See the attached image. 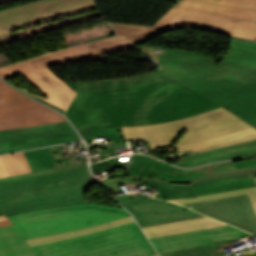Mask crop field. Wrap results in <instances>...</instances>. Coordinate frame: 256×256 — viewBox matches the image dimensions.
Instances as JSON below:
<instances>
[{
    "instance_id": "crop-field-42",
    "label": "crop field",
    "mask_w": 256,
    "mask_h": 256,
    "mask_svg": "<svg viewBox=\"0 0 256 256\" xmlns=\"http://www.w3.org/2000/svg\"><path fill=\"white\" fill-rule=\"evenodd\" d=\"M79 144H80V143H73V144H71L72 147H73V149H74V151H75V149H78V151L80 150V149H79ZM75 154H76V156H77L79 162L85 161V160H82L81 156H78V155H77L76 151H75Z\"/></svg>"
},
{
    "instance_id": "crop-field-13",
    "label": "crop field",
    "mask_w": 256,
    "mask_h": 256,
    "mask_svg": "<svg viewBox=\"0 0 256 256\" xmlns=\"http://www.w3.org/2000/svg\"><path fill=\"white\" fill-rule=\"evenodd\" d=\"M251 235L230 225L186 232L177 235L151 238L150 241L159 252H167L201 245L211 244L234 237Z\"/></svg>"
},
{
    "instance_id": "crop-field-36",
    "label": "crop field",
    "mask_w": 256,
    "mask_h": 256,
    "mask_svg": "<svg viewBox=\"0 0 256 256\" xmlns=\"http://www.w3.org/2000/svg\"><path fill=\"white\" fill-rule=\"evenodd\" d=\"M155 171L159 172H168V173H177L178 168L171 166L169 164L163 163V162H156L152 168Z\"/></svg>"
},
{
    "instance_id": "crop-field-18",
    "label": "crop field",
    "mask_w": 256,
    "mask_h": 256,
    "mask_svg": "<svg viewBox=\"0 0 256 256\" xmlns=\"http://www.w3.org/2000/svg\"><path fill=\"white\" fill-rule=\"evenodd\" d=\"M226 225L210 219L208 217H196L191 219H185L180 221L168 222L163 224L151 225L143 227L145 233L148 238L162 236V235H170L177 234L186 231L221 226Z\"/></svg>"
},
{
    "instance_id": "crop-field-6",
    "label": "crop field",
    "mask_w": 256,
    "mask_h": 256,
    "mask_svg": "<svg viewBox=\"0 0 256 256\" xmlns=\"http://www.w3.org/2000/svg\"><path fill=\"white\" fill-rule=\"evenodd\" d=\"M33 248L39 256H149L156 253L136 222Z\"/></svg>"
},
{
    "instance_id": "crop-field-39",
    "label": "crop field",
    "mask_w": 256,
    "mask_h": 256,
    "mask_svg": "<svg viewBox=\"0 0 256 256\" xmlns=\"http://www.w3.org/2000/svg\"><path fill=\"white\" fill-rule=\"evenodd\" d=\"M9 176L1 158H0V178Z\"/></svg>"
},
{
    "instance_id": "crop-field-19",
    "label": "crop field",
    "mask_w": 256,
    "mask_h": 256,
    "mask_svg": "<svg viewBox=\"0 0 256 256\" xmlns=\"http://www.w3.org/2000/svg\"><path fill=\"white\" fill-rule=\"evenodd\" d=\"M189 183L248 173L256 175V168L237 170L233 161L218 162L195 169H183Z\"/></svg>"
},
{
    "instance_id": "crop-field-45",
    "label": "crop field",
    "mask_w": 256,
    "mask_h": 256,
    "mask_svg": "<svg viewBox=\"0 0 256 256\" xmlns=\"http://www.w3.org/2000/svg\"><path fill=\"white\" fill-rule=\"evenodd\" d=\"M83 148H85V146L82 144V146H81V150H83Z\"/></svg>"
},
{
    "instance_id": "crop-field-27",
    "label": "crop field",
    "mask_w": 256,
    "mask_h": 256,
    "mask_svg": "<svg viewBox=\"0 0 256 256\" xmlns=\"http://www.w3.org/2000/svg\"><path fill=\"white\" fill-rule=\"evenodd\" d=\"M1 158L10 176L31 171L22 152L2 155Z\"/></svg>"
},
{
    "instance_id": "crop-field-7",
    "label": "crop field",
    "mask_w": 256,
    "mask_h": 256,
    "mask_svg": "<svg viewBox=\"0 0 256 256\" xmlns=\"http://www.w3.org/2000/svg\"><path fill=\"white\" fill-rule=\"evenodd\" d=\"M129 215L121 208L81 204L18 214L8 219L24 239H28L77 230Z\"/></svg>"
},
{
    "instance_id": "crop-field-8",
    "label": "crop field",
    "mask_w": 256,
    "mask_h": 256,
    "mask_svg": "<svg viewBox=\"0 0 256 256\" xmlns=\"http://www.w3.org/2000/svg\"><path fill=\"white\" fill-rule=\"evenodd\" d=\"M96 8L93 0H39L0 11V37L12 30Z\"/></svg>"
},
{
    "instance_id": "crop-field-38",
    "label": "crop field",
    "mask_w": 256,
    "mask_h": 256,
    "mask_svg": "<svg viewBox=\"0 0 256 256\" xmlns=\"http://www.w3.org/2000/svg\"><path fill=\"white\" fill-rule=\"evenodd\" d=\"M235 165H236L237 169L256 167V159L235 162Z\"/></svg>"
},
{
    "instance_id": "crop-field-5",
    "label": "crop field",
    "mask_w": 256,
    "mask_h": 256,
    "mask_svg": "<svg viewBox=\"0 0 256 256\" xmlns=\"http://www.w3.org/2000/svg\"><path fill=\"white\" fill-rule=\"evenodd\" d=\"M255 20V10L181 0L172 6L153 27L110 24L118 32V38L136 43L145 42L159 33L177 28H194L256 40Z\"/></svg>"
},
{
    "instance_id": "crop-field-12",
    "label": "crop field",
    "mask_w": 256,
    "mask_h": 256,
    "mask_svg": "<svg viewBox=\"0 0 256 256\" xmlns=\"http://www.w3.org/2000/svg\"><path fill=\"white\" fill-rule=\"evenodd\" d=\"M184 206L256 234V217L247 195L184 204Z\"/></svg>"
},
{
    "instance_id": "crop-field-20",
    "label": "crop field",
    "mask_w": 256,
    "mask_h": 256,
    "mask_svg": "<svg viewBox=\"0 0 256 256\" xmlns=\"http://www.w3.org/2000/svg\"><path fill=\"white\" fill-rule=\"evenodd\" d=\"M195 195H204L222 191H229L241 188L256 186L253 176L247 174L220 178L215 180L203 181L190 184Z\"/></svg>"
},
{
    "instance_id": "crop-field-10",
    "label": "crop field",
    "mask_w": 256,
    "mask_h": 256,
    "mask_svg": "<svg viewBox=\"0 0 256 256\" xmlns=\"http://www.w3.org/2000/svg\"><path fill=\"white\" fill-rule=\"evenodd\" d=\"M68 121L0 131V153L79 140Z\"/></svg>"
},
{
    "instance_id": "crop-field-9",
    "label": "crop field",
    "mask_w": 256,
    "mask_h": 256,
    "mask_svg": "<svg viewBox=\"0 0 256 256\" xmlns=\"http://www.w3.org/2000/svg\"><path fill=\"white\" fill-rule=\"evenodd\" d=\"M134 47L135 44L118 38H106L80 46L47 53L1 68L0 76L6 80L41 68L123 51Z\"/></svg>"
},
{
    "instance_id": "crop-field-32",
    "label": "crop field",
    "mask_w": 256,
    "mask_h": 256,
    "mask_svg": "<svg viewBox=\"0 0 256 256\" xmlns=\"http://www.w3.org/2000/svg\"><path fill=\"white\" fill-rule=\"evenodd\" d=\"M134 179H140L145 181V179H141V178L118 177V178H113L108 180H102L101 182L105 184L114 193H121L124 191L118 186V183L119 182H123L124 184L133 183V185H135L136 183Z\"/></svg>"
},
{
    "instance_id": "crop-field-3",
    "label": "crop field",
    "mask_w": 256,
    "mask_h": 256,
    "mask_svg": "<svg viewBox=\"0 0 256 256\" xmlns=\"http://www.w3.org/2000/svg\"><path fill=\"white\" fill-rule=\"evenodd\" d=\"M126 139L145 138L151 149L175 145L177 152H202L256 139V128L224 107L182 120L122 127ZM145 140V141H146Z\"/></svg>"
},
{
    "instance_id": "crop-field-24",
    "label": "crop field",
    "mask_w": 256,
    "mask_h": 256,
    "mask_svg": "<svg viewBox=\"0 0 256 256\" xmlns=\"http://www.w3.org/2000/svg\"><path fill=\"white\" fill-rule=\"evenodd\" d=\"M146 185L157 188L155 196L163 199L195 197L189 184H172L146 179Z\"/></svg>"
},
{
    "instance_id": "crop-field-23",
    "label": "crop field",
    "mask_w": 256,
    "mask_h": 256,
    "mask_svg": "<svg viewBox=\"0 0 256 256\" xmlns=\"http://www.w3.org/2000/svg\"><path fill=\"white\" fill-rule=\"evenodd\" d=\"M133 221H134V219L132 218V216H130V217L106 222L103 224H99V225H96L93 227H89V228H85V229H81V230H77V231H71V232H66V233H62V234L33 238V239H28L27 241L29 242V244L31 246L37 245V244H42V243L60 241V240H64V239L100 231V230L106 229L108 227H113V226L129 223V222H133Z\"/></svg>"
},
{
    "instance_id": "crop-field-14",
    "label": "crop field",
    "mask_w": 256,
    "mask_h": 256,
    "mask_svg": "<svg viewBox=\"0 0 256 256\" xmlns=\"http://www.w3.org/2000/svg\"><path fill=\"white\" fill-rule=\"evenodd\" d=\"M64 120L67 119L61 114L37 101L0 107V130Z\"/></svg>"
},
{
    "instance_id": "crop-field-47",
    "label": "crop field",
    "mask_w": 256,
    "mask_h": 256,
    "mask_svg": "<svg viewBox=\"0 0 256 256\" xmlns=\"http://www.w3.org/2000/svg\"><path fill=\"white\" fill-rule=\"evenodd\" d=\"M152 256H157V254H155V255H152Z\"/></svg>"
},
{
    "instance_id": "crop-field-17",
    "label": "crop field",
    "mask_w": 256,
    "mask_h": 256,
    "mask_svg": "<svg viewBox=\"0 0 256 256\" xmlns=\"http://www.w3.org/2000/svg\"><path fill=\"white\" fill-rule=\"evenodd\" d=\"M218 65L256 71V42L231 38L230 51Z\"/></svg>"
},
{
    "instance_id": "crop-field-41",
    "label": "crop field",
    "mask_w": 256,
    "mask_h": 256,
    "mask_svg": "<svg viewBox=\"0 0 256 256\" xmlns=\"http://www.w3.org/2000/svg\"><path fill=\"white\" fill-rule=\"evenodd\" d=\"M11 84V83H10ZM11 85H13V84H11ZM13 86H15V85H13ZM16 88H18L17 86H15ZM19 90H21L20 88H18ZM21 91H23V90H21ZM23 92H25V91H23ZM25 93H27V92H25ZM27 94H29V93H27ZM30 95V94H29ZM32 96V95H31ZM34 97V96H33ZM36 99H38V100H40V101H42V102H44V103H46V104H48V105H50V106H52V107H54L55 109H57V110H59L60 112H62V113H64V110H62V109H60V108H58V107H56V106H54V105H52V104H50V103H48V102H46V101H44V100H41V99H39V98H37V97H35ZM34 98V99H35ZM66 112V111H65Z\"/></svg>"
},
{
    "instance_id": "crop-field-34",
    "label": "crop field",
    "mask_w": 256,
    "mask_h": 256,
    "mask_svg": "<svg viewBox=\"0 0 256 256\" xmlns=\"http://www.w3.org/2000/svg\"><path fill=\"white\" fill-rule=\"evenodd\" d=\"M47 149L56 167L67 164L58 146L48 147Z\"/></svg>"
},
{
    "instance_id": "crop-field-2",
    "label": "crop field",
    "mask_w": 256,
    "mask_h": 256,
    "mask_svg": "<svg viewBox=\"0 0 256 256\" xmlns=\"http://www.w3.org/2000/svg\"><path fill=\"white\" fill-rule=\"evenodd\" d=\"M139 49L163 74L209 96L256 127V72L220 67L201 54Z\"/></svg>"
},
{
    "instance_id": "crop-field-11",
    "label": "crop field",
    "mask_w": 256,
    "mask_h": 256,
    "mask_svg": "<svg viewBox=\"0 0 256 256\" xmlns=\"http://www.w3.org/2000/svg\"><path fill=\"white\" fill-rule=\"evenodd\" d=\"M117 198L126 209L135 215L141 226L202 216L180 205L139 194Z\"/></svg>"
},
{
    "instance_id": "crop-field-21",
    "label": "crop field",
    "mask_w": 256,
    "mask_h": 256,
    "mask_svg": "<svg viewBox=\"0 0 256 256\" xmlns=\"http://www.w3.org/2000/svg\"><path fill=\"white\" fill-rule=\"evenodd\" d=\"M14 225L0 227V256H36Z\"/></svg>"
},
{
    "instance_id": "crop-field-22",
    "label": "crop field",
    "mask_w": 256,
    "mask_h": 256,
    "mask_svg": "<svg viewBox=\"0 0 256 256\" xmlns=\"http://www.w3.org/2000/svg\"><path fill=\"white\" fill-rule=\"evenodd\" d=\"M130 160H132L129 163L130 169L128 170L130 175L157 178V179L165 180L166 182H173V183H188L182 169L180 168H179L178 174L158 173V172L149 170L155 162V159L153 158H150L144 155H132Z\"/></svg>"
},
{
    "instance_id": "crop-field-28",
    "label": "crop field",
    "mask_w": 256,
    "mask_h": 256,
    "mask_svg": "<svg viewBox=\"0 0 256 256\" xmlns=\"http://www.w3.org/2000/svg\"><path fill=\"white\" fill-rule=\"evenodd\" d=\"M84 131H90L91 135H85ZM79 132L80 134H82L85 141H87L86 144L91 143L95 137H100V136L105 137V139L107 138L109 144L121 142V141H127L125 140L120 127L104 128V129H96V130H81Z\"/></svg>"
},
{
    "instance_id": "crop-field-26",
    "label": "crop field",
    "mask_w": 256,
    "mask_h": 256,
    "mask_svg": "<svg viewBox=\"0 0 256 256\" xmlns=\"http://www.w3.org/2000/svg\"><path fill=\"white\" fill-rule=\"evenodd\" d=\"M244 194H248L250 201L253 205V208L255 210V213H256V187L242 189V190L229 191V192H223V193H217V194H211V195H205V196H199L197 198L173 199V200H169V201H173V202H176L179 204H184V203L211 200V199L231 197V196L244 195Z\"/></svg>"
},
{
    "instance_id": "crop-field-15",
    "label": "crop field",
    "mask_w": 256,
    "mask_h": 256,
    "mask_svg": "<svg viewBox=\"0 0 256 256\" xmlns=\"http://www.w3.org/2000/svg\"><path fill=\"white\" fill-rule=\"evenodd\" d=\"M23 76L32 85H34L36 88H38L41 92H43L47 96V98H42V99L64 110L67 109L68 105L70 104L71 100L73 99L76 93L69 86H67L61 79H59L53 72H51L48 68L41 69L28 74H24Z\"/></svg>"
},
{
    "instance_id": "crop-field-49",
    "label": "crop field",
    "mask_w": 256,
    "mask_h": 256,
    "mask_svg": "<svg viewBox=\"0 0 256 256\" xmlns=\"http://www.w3.org/2000/svg\"><path fill=\"white\" fill-rule=\"evenodd\" d=\"M255 180H256V178H255Z\"/></svg>"
},
{
    "instance_id": "crop-field-37",
    "label": "crop field",
    "mask_w": 256,
    "mask_h": 256,
    "mask_svg": "<svg viewBox=\"0 0 256 256\" xmlns=\"http://www.w3.org/2000/svg\"><path fill=\"white\" fill-rule=\"evenodd\" d=\"M121 146H126V145L124 144V142H121V143H116V144H111V145L100 147V150H101L104 158H107V157H109V155L113 154L111 149L121 147Z\"/></svg>"
},
{
    "instance_id": "crop-field-40",
    "label": "crop field",
    "mask_w": 256,
    "mask_h": 256,
    "mask_svg": "<svg viewBox=\"0 0 256 256\" xmlns=\"http://www.w3.org/2000/svg\"><path fill=\"white\" fill-rule=\"evenodd\" d=\"M241 252L243 253V255H241V256H256V253L251 249H248V248H246V249H243V250H241ZM230 256H232V255H230Z\"/></svg>"
},
{
    "instance_id": "crop-field-4",
    "label": "crop field",
    "mask_w": 256,
    "mask_h": 256,
    "mask_svg": "<svg viewBox=\"0 0 256 256\" xmlns=\"http://www.w3.org/2000/svg\"><path fill=\"white\" fill-rule=\"evenodd\" d=\"M95 181L87 170V161L2 178L0 208L9 216L44 208L86 203L85 192Z\"/></svg>"
},
{
    "instance_id": "crop-field-30",
    "label": "crop field",
    "mask_w": 256,
    "mask_h": 256,
    "mask_svg": "<svg viewBox=\"0 0 256 256\" xmlns=\"http://www.w3.org/2000/svg\"><path fill=\"white\" fill-rule=\"evenodd\" d=\"M1 99H4V101H1ZM32 100L33 99L17 92L0 79V106Z\"/></svg>"
},
{
    "instance_id": "crop-field-33",
    "label": "crop field",
    "mask_w": 256,
    "mask_h": 256,
    "mask_svg": "<svg viewBox=\"0 0 256 256\" xmlns=\"http://www.w3.org/2000/svg\"><path fill=\"white\" fill-rule=\"evenodd\" d=\"M125 164H126V162L116 163L115 158H113L110 160L102 161V162L91 165V170H92V173L101 172V171H106V170L123 167V166H125Z\"/></svg>"
},
{
    "instance_id": "crop-field-46",
    "label": "crop field",
    "mask_w": 256,
    "mask_h": 256,
    "mask_svg": "<svg viewBox=\"0 0 256 256\" xmlns=\"http://www.w3.org/2000/svg\"><path fill=\"white\" fill-rule=\"evenodd\" d=\"M2 214H4V213H3L2 210L0 209V215H2Z\"/></svg>"
},
{
    "instance_id": "crop-field-35",
    "label": "crop field",
    "mask_w": 256,
    "mask_h": 256,
    "mask_svg": "<svg viewBox=\"0 0 256 256\" xmlns=\"http://www.w3.org/2000/svg\"><path fill=\"white\" fill-rule=\"evenodd\" d=\"M59 147H60L68 164L78 162L70 144L60 145Z\"/></svg>"
},
{
    "instance_id": "crop-field-43",
    "label": "crop field",
    "mask_w": 256,
    "mask_h": 256,
    "mask_svg": "<svg viewBox=\"0 0 256 256\" xmlns=\"http://www.w3.org/2000/svg\"><path fill=\"white\" fill-rule=\"evenodd\" d=\"M11 224L12 223L9 220L0 222V226L11 225Z\"/></svg>"
},
{
    "instance_id": "crop-field-44",
    "label": "crop field",
    "mask_w": 256,
    "mask_h": 256,
    "mask_svg": "<svg viewBox=\"0 0 256 256\" xmlns=\"http://www.w3.org/2000/svg\"><path fill=\"white\" fill-rule=\"evenodd\" d=\"M6 219H7V217L5 215L0 216V221L6 220Z\"/></svg>"
},
{
    "instance_id": "crop-field-1",
    "label": "crop field",
    "mask_w": 256,
    "mask_h": 256,
    "mask_svg": "<svg viewBox=\"0 0 256 256\" xmlns=\"http://www.w3.org/2000/svg\"><path fill=\"white\" fill-rule=\"evenodd\" d=\"M220 106L155 70L128 78L81 82L66 116L81 130L182 119Z\"/></svg>"
},
{
    "instance_id": "crop-field-29",
    "label": "crop field",
    "mask_w": 256,
    "mask_h": 256,
    "mask_svg": "<svg viewBox=\"0 0 256 256\" xmlns=\"http://www.w3.org/2000/svg\"><path fill=\"white\" fill-rule=\"evenodd\" d=\"M33 171L52 168L54 166L46 148L24 152Z\"/></svg>"
},
{
    "instance_id": "crop-field-25",
    "label": "crop field",
    "mask_w": 256,
    "mask_h": 256,
    "mask_svg": "<svg viewBox=\"0 0 256 256\" xmlns=\"http://www.w3.org/2000/svg\"><path fill=\"white\" fill-rule=\"evenodd\" d=\"M242 238V237H240ZM234 238L219 242H214L212 245L196 247L191 249L160 253L161 256H220L226 254L222 249L226 246H230V242L240 239Z\"/></svg>"
},
{
    "instance_id": "crop-field-16",
    "label": "crop field",
    "mask_w": 256,
    "mask_h": 256,
    "mask_svg": "<svg viewBox=\"0 0 256 256\" xmlns=\"http://www.w3.org/2000/svg\"><path fill=\"white\" fill-rule=\"evenodd\" d=\"M251 156H256V140L212 151L175 158L173 160H169L168 162H172L179 166L192 167L214 161Z\"/></svg>"
},
{
    "instance_id": "crop-field-31",
    "label": "crop field",
    "mask_w": 256,
    "mask_h": 256,
    "mask_svg": "<svg viewBox=\"0 0 256 256\" xmlns=\"http://www.w3.org/2000/svg\"><path fill=\"white\" fill-rule=\"evenodd\" d=\"M222 6L256 9V0H196Z\"/></svg>"
},
{
    "instance_id": "crop-field-48",
    "label": "crop field",
    "mask_w": 256,
    "mask_h": 256,
    "mask_svg": "<svg viewBox=\"0 0 256 256\" xmlns=\"http://www.w3.org/2000/svg\"><path fill=\"white\" fill-rule=\"evenodd\" d=\"M3 1V0H0V2Z\"/></svg>"
}]
</instances>
